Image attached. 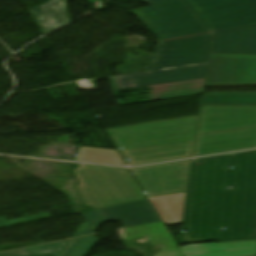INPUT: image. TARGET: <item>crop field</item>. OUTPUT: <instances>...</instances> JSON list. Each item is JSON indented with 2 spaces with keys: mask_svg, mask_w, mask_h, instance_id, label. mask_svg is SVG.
I'll use <instances>...</instances> for the list:
<instances>
[{
  "mask_svg": "<svg viewBox=\"0 0 256 256\" xmlns=\"http://www.w3.org/2000/svg\"><path fill=\"white\" fill-rule=\"evenodd\" d=\"M182 229L183 243L256 239V151L193 160Z\"/></svg>",
  "mask_w": 256,
  "mask_h": 256,
  "instance_id": "crop-field-1",
  "label": "crop field"
},
{
  "mask_svg": "<svg viewBox=\"0 0 256 256\" xmlns=\"http://www.w3.org/2000/svg\"><path fill=\"white\" fill-rule=\"evenodd\" d=\"M199 116L109 129L128 165L147 164L193 154ZM129 159L130 161H127Z\"/></svg>",
  "mask_w": 256,
  "mask_h": 256,
  "instance_id": "crop-field-2",
  "label": "crop field"
},
{
  "mask_svg": "<svg viewBox=\"0 0 256 256\" xmlns=\"http://www.w3.org/2000/svg\"><path fill=\"white\" fill-rule=\"evenodd\" d=\"M210 34L159 43L148 73L113 77L116 90L202 79L206 76Z\"/></svg>",
  "mask_w": 256,
  "mask_h": 256,
  "instance_id": "crop-field-3",
  "label": "crop field"
},
{
  "mask_svg": "<svg viewBox=\"0 0 256 256\" xmlns=\"http://www.w3.org/2000/svg\"><path fill=\"white\" fill-rule=\"evenodd\" d=\"M75 185L86 207L100 209L147 197L128 169L77 164Z\"/></svg>",
  "mask_w": 256,
  "mask_h": 256,
  "instance_id": "crop-field-4",
  "label": "crop field"
},
{
  "mask_svg": "<svg viewBox=\"0 0 256 256\" xmlns=\"http://www.w3.org/2000/svg\"><path fill=\"white\" fill-rule=\"evenodd\" d=\"M151 5L135 11L160 40L213 31L187 0H139Z\"/></svg>",
  "mask_w": 256,
  "mask_h": 256,
  "instance_id": "crop-field-5",
  "label": "crop field"
},
{
  "mask_svg": "<svg viewBox=\"0 0 256 256\" xmlns=\"http://www.w3.org/2000/svg\"><path fill=\"white\" fill-rule=\"evenodd\" d=\"M213 30L256 23V0H188Z\"/></svg>",
  "mask_w": 256,
  "mask_h": 256,
  "instance_id": "crop-field-6",
  "label": "crop field"
},
{
  "mask_svg": "<svg viewBox=\"0 0 256 256\" xmlns=\"http://www.w3.org/2000/svg\"><path fill=\"white\" fill-rule=\"evenodd\" d=\"M256 85V55L211 54L205 86Z\"/></svg>",
  "mask_w": 256,
  "mask_h": 256,
  "instance_id": "crop-field-7",
  "label": "crop field"
},
{
  "mask_svg": "<svg viewBox=\"0 0 256 256\" xmlns=\"http://www.w3.org/2000/svg\"><path fill=\"white\" fill-rule=\"evenodd\" d=\"M191 162L134 168L132 171L149 195L158 196L187 190Z\"/></svg>",
  "mask_w": 256,
  "mask_h": 256,
  "instance_id": "crop-field-8",
  "label": "crop field"
},
{
  "mask_svg": "<svg viewBox=\"0 0 256 256\" xmlns=\"http://www.w3.org/2000/svg\"><path fill=\"white\" fill-rule=\"evenodd\" d=\"M256 127V106H202L197 135Z\"/></svg>",
  "mask_w": 256,
  "mask_h": 256,
  "instance_id": "crop-field-9",
  "label": "crop field"
},
{
  "mask_svg": "<svg viewBox=\"0 0 256 256\" xmlns=\"http://www.w3.org/2000/svg\"><path fill=\"white\" fill-rule=\"evenodd\" d=\"M253 147H256V128L220 132L197 136L193 156Z\"/></svg>",
  "mask_w": 256,
  "mask_h": 256,
  "instance_id": "crop-field-10",
  "label": "crop field"
},
{
  "mask_svg": "<svg viewBox=\"0 0 256 256\" xmlns=\"http://www.w3.org/2000/svg\"><path fill=\"white\" fill-rule=\"evenodd\" d=\"M211 53L256 54V25L215 32Z\"/></svg>",
  "mask_w": 256,
  "mask_h": 256,
  "instance_id": "crop-field-11",
  "label": "crop field"
},
{
  "mask_svg": "<svg viewBox=\"0 0 256 256\" xmlns=\"http://www.w3.org/2000/svg\"><path fill=\"white\" fill-rule=\"evenodd\" d=\"M99 212L104 221L121 219L124 227L161 221L149 200L100 209Z\"/></svg>",
  "mask_w": 256,
  "mask_h": 256,
  "instance_id": "crop-field-12",
  "label": "crop field"
},
{
  "mask_svg": "<svg viewBox=\"0 0 256 256\" xmlns=\"http://www.w3.org/2000/svg\"><path fill=\"white\" fill-rule=\"evenodd\" d=\"M184 256H241L256 254V240L181 247Z\"/></svg>",
  "mask_w": 256,
  "mask_h": 256,
  "instance_id": "crop-field-13",
  "label": "crop field"
},
{
  "mask_svg": "<svg viewBox=\"0 0 256 256\" xmlns=\"http://www.w3.org/2000/svg\"><path fill=\"white\" fill-rule=\"evenodd\" d=\"M127 229L128 236L125 240L137 239L141 238L142 235L151 234L154 235L152 237H149L152 246L166 244L164 245V248L158 249L161 251H158V254L156 256H183L162 222L130 227Z\"/></svg>",
  "mask_w": 256,
  "mask_h": 256,
  "instance_id": "crop-field-14",
  "label": "crop field"
},
{
  "mask_svg": "<svg viewBox=\"0 0 256 256\" xmlns=\"http://www.w3.org/2000/svg\"><path fill=\"white\" fill-rule=\"evenodd\" d=\"M65 1L52 0L29 10L43 34L70 21Z\"/></svg>",
  "mask_w": 256,
  "mask_h": 256,
  "instance_id": "crop-field-15",
  "label": "crop field"
},
{
  "mask_svg": "<svg viewBox=\"0 0 256 256\" xmlns=\"http://www.w3.org/2000/svg\"><path fill=\"white\" fill-rule=\"evenodd\" d=\"M186 192L148 198L164 224L182 223Z\"/></svg>",
  "mask_w": 256,
  "mask_h": 256,
  "instance_id": "crop-field-16",
  "label": "crop field"
},
{
  "mask_svg": "<svg viewBox=\"0 0 256 256\" xmlns=\"http://www.w3.org/2000/svg\"><path fill=\"white\" fill-rule=\"evenodd\" d=\"M195 82H199V84L163 88L167 86H174V85H181V84H188V83H195ZM204 82H205V79H202V80L156 85V86L143 87V88L144 89L154 88L153 90L149 91L151 94L149 95V98L147 101H151V100L202 94L204 90Z\"/></svg>",
  "mask_w": 256,
  "mask_h": 256,
  "instance_id": "crop-field-17",
  "label": "crop field"
},
{
  "mask_svg": "<svg viewBox=\"0 0 256 256\" xmlns=\"http://www.w3.org/2000/svg\"><path fill=\"white\" fill-rule=\"evenodd\" d=\"M81 239L82 238L67 240L32 248L1 253L0 256H29L54 252H59L57 256H68V254L74 249V247L80 242Z\"/></svg>",
  "mask_w": 256,
  "mask_h": 256,
  "instance_id": "crop-field-18",
  "label": "crop field"
},
{
  "mask_svg": "<svg viewBox=\"0 0 256 256\" xmlns=\"http://www.w3.org/2000/svg\"><path fill=\"white\" fill-rule=\"evenodd\" d=\"M202 105H256V96L203 97Z\"/></svg>",
  "mask_w": 256,
  "mask_h": 256,
  "instance_id": "crop-field-19",
  "label": "crop field"
},
{
  "mask_svg": "<svg viewBox=\"0 0 256 256\" xmlns=\"http://www.w3.org/2000/svg\"><path fill=\"white\" fill-rule=\"evenodd\" d=\"M83 215H84V217L86 219V223L75 234L74 237H78V236H82V235L93 233L98 228V226L102 223V221H101V219H100V217H99V215H98L96 210L84 212Z\"/></svg>",
  "mask_w": 256,
  "mask_h": 256,
  "instance_id": "crop-field-20",
  "label": "crop field"
},
{
  "mask_svg": "<svg viewBox=\"0 0 256 256\" xmlns=\"http://www.w3.org/2000/svg\"><path fill=\"white\" fill-rule=\"evenodd\" d=\"M98 241L95 235L83 238L69 256H88Z\"/></svg>",
  "mask_w": 256,
  "mask_h": 256,
  "instance_id": "crop-field-21",
  "label": "crop field"
},
{
  "mask_svg": "<svg viewBox=\"0 0 256 256\" xmlns=\"http://www.w3.org/2000/svg\"><path fill=\"white\" fill-rule=\"evenodd\" d=\"M51 218L52 217L50 216L49 213L26 217V218H21V219H16V220H11V221H8L6 218L1 217L0 218V228L10 227V226H15V225H20V224H26V223H31V222H36V221H41V220H46V219H51Z\"/></svg>",
  "mask_w": 256,
  "mask_h": 256,
  "instance_id": "crop-field-22",
  "label": "crop field"
},
{
  "mask_svg": "<svg viewBox=\"0 0 256 256\" xmlns=\"http://www.w3.org/2000/svg\"><path fill=\"white\" fill-rule=\"evenodd\" d=\"M256 95V93H204L203 96Z\"/></svg>",
  "mask_w": 256,
  "mask_h": 256,
  "instance_id": "crop-field-23",
  "label": "crop field"
},
{
  "mask_svg": "<svg viewBox=\"0 0 256 256\" xmlns=\"http://www.w3.org/2000/svg\"><path fill=\"white\" fill-rule=\"evenodd\" d=\"M57 253L54 254H46V255H37V256H56Z\"/></svg>",
  "mask_w": 256,
  "mask_h": 256,
  "instance_id": "crop-field-24",
  "label": "crop field"
},
{
  "mask_svg": "<svg viewBox=\"0 0 256 256\" xmlns=\"http://www.w3.org/2000/svg\"><path fill=\"white\" fill-rule=\"evenodd\" d=\"M250 256H254V255H250Z\"/></svg>",
  "mask_w": 256,
  "mask_h": 256,
  "instance_id": "crop-field-25",
  "label": "crop field"
}]
</instances>
